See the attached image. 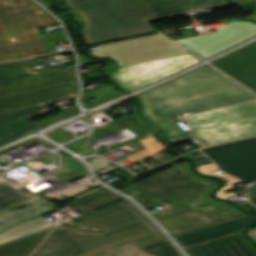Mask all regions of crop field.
Returning a JSON list of instances; mask_svg holds the SVG:
<instances>
[{
	"mask_svg": "<svg viewBox=\"0 0 256 256\" xmlns=\"http://www.w3.org/2000/svg\"><path fill=\"white\" fill-rule=\"evenodd\" d=\"M74 221L101 230L56 225L32 256H151L138 247L165 240L127 200Z\"/></svg>",
	"mask_w": 256,
	"mask_h": 256,
	"instance_id": "crop-field-1",
	"label": "crop field"
},
{
	"mask_svg": "<svg viewBox=\"0 0 256 256\" xmlns=\"http://www.w3.org/2000/svg\"><path fill=\"white\" fill-rule=\"evenodd\" d=\"M143 114L171 143L188 140L190 133L173 121L174 115L195 113L256 100V95L209 65L150 89L138 96Z\"/></svg>",
	"mask_w": 256,
	"mask_h": 256,
	"instance_id": "crop-field-2",
	"label": "crop field"
},
{
	"mask_svg": "<svg viewBox=\"0 0 256 256\" xmlns=\"http://www.w3.org/2000/svg\"><path fill=\"white\" fill-rule=\"evenodd\" d=\"M213 185L191 176L182 163L138 182L125 194L145 209L163 205L164 211L153 217L174 237L244 216L226 205L199 207L208 201L205 194Z\"/></svg>",
	"mask_w": 256,
	"mask_h": 256,
	"instance_id": "crop-field-3",
	"label": "crop field"
},
{
	"mask_svg": "<svg viewBox=\"0 0 256 256\" xmlns=\"http://www.w3.org/2000/svg\"><path fill=\"white\" fill-rule=\"evenodd\" d=\"M29 61L0 65V113L42 105L78 94L75 67L35 72Z\"/></svg>",
	"mask_w": 256,
	"mask_h": 256,
	"instance_id": "crop-field-4",
	"label": "crop field"
},
{
	"mask_svg": "<svg viewBox=\"0 0 256 256\" xmlns=\"http://www.w3.org/2000/svg\"><path fill=\"white\" fill-rule=\"evenodd\" d=\"M56 23L31 0H0V62L45 54L37 27Z\"/></svg>",
	"mask_w": 256,
	"mask_h": 256,
	"instance_id": "crop-field-5",
	"label": "crop field"
},
{
	"mask_svg": "<svg viewBox=\"0 0 256 256\" xmlns=\"http://www.w3.org/2000/svg\"><path fill=\"white\" fill-rule=\"evenodd\" d=\"M197 139L208 146L256 135V101L187 117Z\"/></svg>",
	"mask_w": 256,
	"mask_h": 256,
	"instance_id": "crop-field-6",
	"label": "crop field"
},
{
	"mask_svg": "<svg viewBox=\"0 0 256 256\" xmlns=\"http://www.w3.org/2000/svg\"><path fill=\"white\" fill-rule=\"evenodd\" d=\"M83 21V34L153 21L141 0H65Z\"/></svg>",
	"mask_w": 256,
	"mask_h": 256,
	"instance_id": "crop-field-7",
	"label": "crop field"
},
{
	"mask_svg": "<svg viewBox=\"0 0 256 256\" xmlns=\"http://www.w3.org/2000/svg\"><path fill=\"white\" fill-rule=\"evenodd\" d=\"M97 48L99 50L90 53L97 58L112 59L118 66L188 52L160 34L98 46Z\"/></svg>",
	"mask_w": 256,
	"mask_h": 256,
	"instance_id": "crop-field-8",
	"label": "crop field"
},
{
	"mask_svg": "<svg viewBox=\"0 0 256 256\" xmlns=\"http://www.w3.org/2000/svg\"><path fill=\"white\" fill-rule=\"evenodd\" d=\"M201 60L190 53L118 67L111 71L113 78L124 89H139Z\"/></svg>",
	"mask_w": 256,
	"mask_h": 256,
	"instance_id": "crop-field-9",
	"label": "crop field"
},
{
	"mask_svg": "<svg viewBox=\"0 0 256 256\" xmlns=\"http://www.w3.org/2000/svg\"><path fill=\"white\" fill-rule=\"evenodd\" d=\"M218 168L243 182L256 181V137L201 150Z\"/></svg>",
	"mask_w": 256,
	"mask_h": 256,
	"instance_id": "crop-field-10",
	"label": "crop field"
},
{
	"mask_svg": "<svg viewBox=\"0 0 256 256\" xmlns=\"http://www.w3.org/2000/svg\"><path fill=\"white\" fill-rule=\"evenodd\" d=\"M216 33L195 39L178 41L202 59L230 48L256 34V24L232 22L224 27L215 28Z\"/></svg>",
	"mask_w": 256,
	"mask_h": 256,
	"instance_id": "crop-field-11",
	"label": "crop field"
},
{
	"mask_svg": "<svg viewBox=\"0 0 256 256\" xmlns=\"http://www.w3.org/2000/svg\"><path fill=\"white\" fill-rule=\"evenodd\" d=\"M211 64L256 92V42Z\"/></svg>",
	"mask_w": 256,
	"mask_h": 256,
	"instance_id": "crop-field-12",
	"label": "crop field"
},
{
	"mask_svg": "<svg viewBox=\"0 0 256 256\" xmlns=\"http://www.w3.org/2000/svg\"><path fill=\"white\" fill-rule=\"evenodd\" d=\"M189 256H256L251 243L240 233L185 249Z\"/></svg>",
	"mask_w": 256,
	"mask_h": 256,
	"instance_id": "crop-field-13",
	"label": "crop field"
},
{
	"mask_svg": "<svg viewBox=\"0 0 256 256\" xmlns=\"http://www.w3.org/2000/svg\"><path fill=\"white\" fill-rule=\"evenodd\" d=\"M49 110L46 105H42L0 114V144L39 128L25 118Z\"/></svg>",
	"mask_w": 256,
	"mask_h": 256,
	"instance_id": "crop-field-14",
	"label": "crop field"
},
{
	"mask_svg": "<svg viewBox=\"0 0 256 256\" xmlns=\"http://www.w3.org/2000/svg\"><path fill=\"white\" fill-rule=\"evenodd\" d=\"M252 223V220L243 217L196 232L174 237V240L179 244L182 249H184L207 240L215 239L241 231L242 229L250 226Z\"/></svg>",
	"mask_w": 256,
	"mask_h": 256,
	"instance_id": "crop-field-15",
	"label": "crop field"
},
{
	"mask_svg": "<svg viewBox=\"0 0 256 256\" xmlns=\"http://www.w3.org/2000/svg\"><path fill=\"white\" fill-rule=\"evenodd\" d=\"M42 200L36 194L24 192L21 187L0 176V215L22 204L33 205Z\"/></svg>",
	"mask_w": 256,
	"mask_h": 256,
	"instance_id": "crop-field-16",
	"label": "crop field"
},
{
	"mask_svg": "<svg viewBox=\"0 0 256 256\" xmlns=\"http://www.w3.org/2000/svg\"><path fill=\"white\" fill-rule=\"evenodd\" d=\"M156 33L155 30L151 29L148 25V23L104 31L100 33H95L91 35L84 36L85 41L88 46L120 40V39H126L146 34Z\"/></svg>",
	"mask_w": 256,
	"mask_h": 256,
	"instance_id": "crop-field-17",
	"label": "crop field"
},
{
	"mask_svg": "<svg viewBox=\"0 0 256 256\" xmlns=\"http://www.w3.org/2000/svg\"><path fill=\"white\" fill-rule=\"evenodd\" d=\"M155 20L186 14L192 10L182 0H142ZM190 13V12H189Z\"/></svg>",
	"mask_w": 256,
	"mask_h": 256,
	"instance_id": "crop-field-18",
	"label": "crop field"
},
{
	"mask_svg": "<svg viewBox=\"0 0 256 256\" xmlns=\"http://www.w3.org/2000/svg\"><path fill=\"white\" fill-rule=\"evenodd\" d=\"M50 226H52V224H50L49 222L45 221L40 217L30 221L23 222L1 233L0 244L17 238L31 235Z\"/></svg>",
	"mask_w": 256,
	"mask_h": 256,
	"instance_id": "crop-field-19",
	"label": "crop field"
},
{
	"mask_svg": "<svg viewBox=\"0 0 256 256\" xmlns=\"http://www.w3.org/2000/svg\"><path fill=\"white\" fill-rule=\"evenodd\" d=\"M49 230L0 246V256H29Z\"/></svg>",
	"mask_w": 256,
	"mask_h": 256,
	"instance_id": "crop-field-20",
	"label": "crop field"
},
{
	"mask_svg": "<svg viewBox=\"0 0 256 256\" xmlns=\"http://www.w3.org/2000/svg\"><path fill=\"white\" fill-rule=\"evenodd\" d=\"M120 199L122 198L119 197L118 195L108 190L101 189L88 196L77 199V201L73 203L72 207H74L75 209H79L84 213H87L96 208H99L101 206H104L106 204L112 203Z\"/></svg>",
	"mask_w": 256,
	"mask_h": 256,
	"instance_id": "crop-field-21",
	"label": "crop field"
},
{
	"mask_svg": "<svg viewBox=\"0 0 256 256\" xmlns=\"http://www.w3.org/2000/svg\"><path fill=\"white\" fill-rule=\"evenodd\" d=\"M53 207H55V205L48 201H45L29 209L2 216L0 217V231L27 218L45 212Z\"/></svg>",
	"mask_w": 256,
	"mask_h": 256,
	"instance_id": "crop-field-22",
	"label": "crop field"
},
{
	"mask_svg": "<svg viewBox=\"0 0 256 256\" xmlns=\"http://www.w3.org/2000/svg\"><path fill=\"white\" fill-rule=\"evenodd\" d=\"M122 94L118 93L117 91L113 90L111 86L108 87H104V88H100V89H96V90H92V91H88V92H84L81 96L80 100H84L88 97H95V102L87 105L84 103H81L80 105L83 106V108L85 109H90L94 106H97L101 103H104L106 101L112 100L114 98H117L119 96H121Z\"/></svg>",
	"mask_w": 256,
	"mask_h": 256,
	"instance_id": "crop-field-23",
	"label": "crop field"
},
{
	"mask_svg": "<svg viewBox=\"0 0 256 256\" xmlns=\"http://www.w3.org/2000/svg\"><path fill=\"white\" fill-rule=\"evenodd\" d=\"M140 249L154 256H180L179 252L177 253L167 240L141 247Z\"/></svg>",
	"mask_w": 256,
	"mask_h": 256,
	"instance_id": "crop-field-24",
	"label": "crop field"
},
{
	"mask_svg": "<svg viewBox=\"0 0 256 256\" xmlns=\"http://www.w3.org/2000/svg\"><path fill=\"white\" fill-rule=\"evenodd\" d=\"M193 11L204 5H212L216 8L228 6L226 0H183Z\"/></svg>",
	"mask_w": 256,
	"mask_h": 256,
	"instance_id": "crop-field-25",
	"label": "crop field"
},
{
	"mask_svg": "<svg viewBox=\"0 0 256 256\" xmlns=\"http://www.w3.org/2000/svg\"><path fill=\"white\" fill-rule=\"evenodd\" d=\"M198 170L202 174L214 175L212 172L216 171L217 169L215 168V166L213 164H210V165L200 166V167H198ZM216 176H220L222 178L227 179L229 181L228 186L240 183L237 179L228 177L225 174H217Z\"/></svg>",
	"mask_w": 256,
	"mask_h": 256,
	"instance_id": "crop-field-26",
	"label": "crop field"
},
{
	"mask_svg": "<svg viewBox=\"0 0 256 256\" xmlns=\"http://www.w3.org/2000/svg\"><path fill=\"white\" fill-rule=\"evenodd\" d=\"M78 110L79 108H74V109H71V110H68L66 112H63V113H60V114H57L55 116H52V117H49V118H46L44 120H41L37 123H35L36 125L42 127V126H45L47 124H49L50 122L54 121V120H57V119H61L63 117H66L68 115H71V114H75V113H78Z\"/></svg>",
	"mask_w": 256,
	"mask_h": 256,
	"instance_id": "crop-field-27",
	"label": "crop field"
},
{
	"mask_svg": "<svg viewBox=\"0 0 256 256\" xmlns=\"http://www.w3.org/2000/svg\"><path fill=\"white\" fill-rule=\"evenodd\" d=\"M228 189H234V186L223 187L219 192L216 193V196L218 198L227 200L228 196L237 194V193H227V192H225Z\"/></svg>",
	"mask_w": 256,
	"mask_h": 256,
	"instance_id": "crop-field-28",
	"label": "crop field"
},
{
	"mask_svg": "<svg viewBox=\"0 0 256 256\" xmlns=\"http://www.w3.org/2000/svg\"><path fill=\"white\" fill-rule=\"evenodd\" d=\"M255 184H256V182H255ZM253 187H254V189L247 191L250 200L256 199V185Z\"/></svg>",
	"mask_w": 256,
	"mask_h": 256,
	"instance_id": "crop-field-29",
	"label": "crop field"
},
{
	"mask_svg": "<svg viewBox=\"0 0 256 256\" xmlns=\"http://www.w3.org/2000/svg\"><path fill=\"white\" fill-rule=\"evenodd\" d=\"M231 1L233 2V5H235V4L253 2V1H255V0H231Z\"/></svg>",
	"mask_w": 256,
	"mask_h": 256,
	"instance_id": "crop-field-30",
	"label": "crop field"
},
{
	"mask_svg": "<svg viewBox=\"0 0 256 256\" xmlns=\"http://www.w3.org/2000/svg\"><path fill=\"white\" fill-rule=\"evenodd\" d=\"M181 33H182V35H183L184 37H188V36H193V35H195L194 33H192L191 30L184 31V32H181ZM184 37H183V38H184Z\"/></svg>",
	"mask_w": 256,
	"mask_h": 256,
	"instance_id": "crop-field-31",
	"label": "crop field"
},
{
	"mask_svg": "<svg viewBox=\"0 0 256 256\" xmlns=\"http://www.w3.org/2000/svg\"><path fill=\"white\" fill-rule=\"evenodd\" d=\"M256 3V2H255ZM242 20L244 19H250V20H253L256 22V14H253V15H250V16H247V17H244V18H241Z\"/></svg>",
	"mask_w": 256,
	"mask_h": 256,
	"instance_id": "crop-field-32",
	"label": "crop field"
},
{
	"mask_svg": "<svg viewBox=\"0 0 256 256\" xmlns=\"http://www.w3.org/2000/svg\"><path fill=\"white\" fill-rule=\"evenodd\" d=\"M251 202L256 206V200H252Z\"/></svg>",
	"mask_w": 256,
	"mask_h": 256,
	"instance_id": "crop-field-33",
	"label": "crop field"
}]
</instances>
